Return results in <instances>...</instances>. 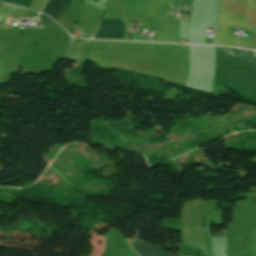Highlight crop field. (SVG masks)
Masks as SVG:
<instances>
[{
	"label": "crop field",
	"mask_w": 256,
	"mask_h": 256,
	"mask_svg": "<svg viewBox=\"0 0 256 256\" xmlns=\"http://www.w3.org/2000/svg\"><path fill=\"white\" fill-rule=\"evenodd\" d=\"M70 2L71 0H48L43 11L57 19L64 12Z\"/></svg>",
	"instance_id": "3"
},
{
	"label": "crop field",
	"mask_w": 256,
	"mask_h": 256,
	"mask_svg": "<svg viewBox=\"0 0 256 256\" xmlns=\"http://www.w3.org/2000/svg\"><path fill=\"white\" fill-rule=\"evenodd\" d=\"M12 21H13V19H12V18H10L8 23H10V24H11V23H12Z\"/></svg>",
	"instance_id": "4"
},
{
	"label": "crop field",
	"mask_w": 256,
	"mask_h": 256,
	"mask_svg": "<svg viewBox=\"0 0 256 256\" xmlns=\"http://www.w3.org/2000/svg\"><path fill=\"white\" fill-rule=\"evenodd\" d=\"M123 26L124 21L122 20H102L94 38L122 40Z\"/></svg>",
	"instance_id": "1"
},
{
	"label": "crop field",
	"mask_w": 256,
	"mask_h": 256,
	"mask_svg": "<svg viewBox=\"0 0 256 256\" xmlns=\"http://www.w3.org/2000/svg\"><path fill=\"white\" fill-rule=\"evenodd\" d=\"M131 244L132 248L140 255V256H154L157 254L164 253L161 247L146 245L142 243H138L135 241L128 240ZM157 256H171L166 253L157 255Z\"/></svg>",
	"instance_id": "2"
}]
</instances>
